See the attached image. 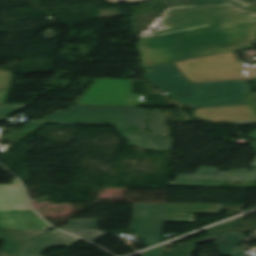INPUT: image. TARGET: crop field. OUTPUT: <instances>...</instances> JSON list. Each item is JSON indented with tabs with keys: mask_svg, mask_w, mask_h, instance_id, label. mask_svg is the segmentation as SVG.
<instances>
[{
	"mask_svg": "<svg viewBox=\"0 0 256 256\" xmlns=\"http://www.w3.org/2000/svg\"><path fill=\"white\" fill-rule=\"evenodd\" d=\"M256 22L212 24L148 38L138 43L143 67L213 56L226 50L253 46Z\"/></svg>",
	"mask_w": 256,
	"mask_h": 256,
	"instance_id": "1",
	"label": "crop field"
},
{
	"mask_svg": "<svg viewBox=\"0 0 256 256\" xmlns=\"http://www.w3.org/2000/svg\"><path fill=\"white\" fill-rule=\"evenodd\" d=\"M71 111H57L40 122H32L21 131L32 133L44 123L76 125L105 123L117 127L123 138L129 139V145L146 147L156 151L172 150V138L165 137L168 128L164 126L165 116L160 111H153L151 114L150 129L153 134L164 135V137L144 132L147 111L131 107H104V106H70ZM130 126L141 127L140 131L127 129ZM160 138V140H158ZM166 139V140H163ZM167 143V144H164Z\"/></svg>",
	"mask_w": 256,
	"mask_h": 256,
	"instance_id": "2",
	"label": "crop field"
},
{
	"mask_svg": "<svg viewBox=\"0 0 256 256\" xmlns=\"http://www.w3.org/2000/svg\"><path fill=\"white\" fill-rule=\"evenodd\" d=\"M147 77L156 88L168 93L175 101L193 108L200 106L247 103L242 94L250 93V79L193 84L174 64L147 68Z\"/></svg>",
	"mask_w": 256,
	"mask_h": 256,
	"instance_id": "3",
	"label": "crop field"
},
{
	"mask_svg": "<svg viewBox=\"0 0 256 256\" xmlns=\"http://www.w3.org/2000/svg\"><path fill=\"white\" fill-rule=\"evenodd\" d=\"M256 13L234 4L209 7H183L168 11L163 21L172 29L154 33L162 34L212 23L255 18Z\"/></svg>",
	"mask_w": 256,
	"mask_h": 256,
	"instance_id": "4",
	"label": "crop field"
},
{
	"mask_svg": "<svg viewBox=\"0 0 256 256\" xmlns=\"http://www.w3.org/2000/svg\"><path fill=\"white\" fill-rule=\"evenodd\" d=\"M12 182L14 185H0V228L51 229L27 207L18 180Z\"/></svg>",
	"mask_w": 256,
	"mask_h": 256,
	"instance_id": "5",
	"label": "crop field"
},
{
	"mask_svg": "<svg viewBox=\"0 0 256 256\" xmlns=\"http://www.w3.org/2000/svg\"><path fill=\"white\" fill-rule=\"evenodd\" d=\"M176 64L193 82L251 78L247 69L236 63L232 53Z\"/></svg>",
	"mask_w": 256,
	"mask_h": 256,
	"instance_id": "6",
	"label": "crop field"
},
{
	"mask_svg": "<svg viewBox=\"0 0 256 256\" xmlns=\"http://www.w3.org/2000/svg\"><path fill=\"white\" fill-rule=\"evenodd\" d=\"M131 85L132 80L98 79L77 104L142 106V95L131 94Z\"/></svg>",
	"mask_w": 256,
	"mask_h": 256,
	"instance_id": "7",
	"label": "crop field"
},
{
	"mask_svg": "<svg viewBox=\"0 0 256 256\" xmlns=\"http://www.w3.org/2000/svg\"><path fill=\"white\" fill-rule=\"evenodd\" d=\"M130 231L163 233L166 205L133 204Z\"/></svg>",
	"mask_w": 256,
	"mask_h": 256,
	"instance_id": "8",
	"label": "crop field"
},
{
	"mask_svg": "<svg viewBox=\"0 0 256 256\" xmlns=\"http://www.w3.org/2000/svg\"><path fill=\"white\" fill-rule=\"evenodd\" d=\"M241 206L167 203L165 222H194V214H219V209H241Z\"/></svg>",
	"mask_w": 256,
	"mask_h": 256,
	"instance_id": "9",
	"label": "crop field"
},
{
	"mask_svg": "<svg viewBox=\"0 0 256 256\" xmlns=\"http://www.w3.org/2000/svg\"><path fill=\"white\" fill-rule=\"evenodd\" d=\"M194 116L213 122L256 123V116L249 105L201 108L195 110Z\"/></svg>",
	"mask_w": 256,
	"mask_h": 256,
	"instance_id": "10",
	"label": "crop field"
},
{
	"mask_svg": "<svg viewBox=\"0 0 256 256\" xmlns=\"http://www.w3.org/2000/svg\"><path fill=\"white\" fill-rule=\"evenodd\" d=\"M233 171H248L243 169L219 172L217 168L200 167L195 175L178 174L176 182L169 186L218 187Z\"/></svg>",
	"mask_w": 256,
	"mask_h": 256,
	"instance_id": "11",
	"label": "crop field"
},
{
	"mask_svg": "<svg viewBox=\"0 0 256 256\" xmlns=\"http://www.w3.org/2000/svg\"><path fill=\"white\" fill-rule=\"evenodd\" d=\"M80 239L53 230L25 243L18 256H39L44 249L51 246H71ZM72 242V243H70Z\"/></svg>",
	"mask_w": 256,
	"mask_h": 256,
	"instance_id": "12",
	"label": "crop field"
},
{
	"mask_svg": "<svg viewBox=\"0 0 256 256\" xmlns=\"http://www.w3.org/2000/svg\"><path fill=\"white\" fill-rule=\"evenodd\" d=\"M47 232V230L0 229V240H5L1 253L17 255L24 241Z\"/></svg>",
	"mask_w": 256,
	"mask_h": 256,
	"instance_id": "13",
	"label": "crop field"
},
{
	"mask_svg": "<svg viewBox=\"0 0 256 256\" xmlns=\"http://www.w3.org/2000/svg\"><path fill=\"white\" fill-rule=\"evenodd\" d=\"M245 239L242 232H225L218 235L202 237L195 241V243L198 244L208 240H214V244L221 251L219 255L231 256Z\"/></svg>",
	"mask_w": 256,
	"mask_h": 256,
	"instance_id": "14",
	"label": "crop field"
},
{
	"mask_svg": "<svg viewBox=\"0 0 256 256\" xmlns=\"http://www.w3.org/2000/svg\"><path fill=\"white\" fill-rule=\"evenodd\" d=\"M229 229H242V230H249L254 231L255 229V221H228L216 227H213L208 230V233H213L222 230H229Z\"/></svg>",
	"mask_w": 256,
	"mask_h": 256,
	"instance_id": "15",
	"label": "crop field"
},
{
	"mask_svg": "<svg viewBox=\"0 0 256 256\" xmlns=\"http://www.w3.org/2000/svg\"><path fill=\"white\" fill-rule=\"evenodd\" d=\"M64 231H67L73 235H76L85 240L91 241L93 243L96 242L97 239L106 236L110 233H106L99 230H89V229H73V228H60Z\"/></svg>",
	"mask_w": 256,
	"mask_h": 256,
	"instance_id": "16",
	"label": "crop field"
},
{
	"mask_svg": "<svg viewBox=\"0 0 256 256\" xmlns=\"http://www.w3.org/2000/svg\"><path fill=\"white\" fill-rule=\"evenodd\" d=\"M191 242L176 244L173 248L163 246L162 256H190Z\"/></svg>",
	"mask_w": 256,
	"mask_h": 256,
	"instance_id": "17",
	"label": "crop field"
},
{
	"mask_svg": "<svg viewBox=\"0 0 256 256\" xmlns=\"http://www.w3.org/2000/svg\"><path fill=\"white\" fill-rule=\"evenodd\" d=\"M227 181H256V168L250 173H234Z\"/></svg>",
	"mask_w": 256,
	"mask_h": 256,
	"instance_id": "18",
	"label": "crop field"
},
{
	"mask_svg": "<svg viewBox=\"0 0 256 256\" xmlns=\"http://www.w3.org/2000/svg\"><path fill=\"white\" fill-rule=\"evenodd\" d=\"M99 219L73 220L67 226L97 228Z\"/></svg>",
	"mask_w": 256,
	"mask_h": 256,
	"instance_id": "19",
	"label": "crop field"
},
{
	"mask_svg": "<svg viewBox=\"0 0 256 256\" xmlns=\"http://www.w3.org/2000/svg\"><path fill=\"white\" fill-rule=\"evenodd\" d=\"M27 105H4L0 106V120L20 110Z\"/></svg>",
	"mask_w": 256,
	"mask_h": 256,
	"instance_id": "20",
	"label": "crop field"
},
{
	"mask_svg": "<svg viewBox=\"0 0 256 256\" xmlns=\"http://www.w3.org/2000/svg\"><path fill=\"white\" fill-rule=\"evenodd\" d=\"M146 246L161 242L163 235L139 233Z\"/></svg>",
	"mask_w": 256,
	"mask_h": 256,
	"instance_id": "21",
	"label": "crop field"
},
{
	"mask_svg": "<svg viewBox=\"0 0 256 256\" xmlns=\"http://www.w3.org/2000/svg\"><path fill=\"white\" fill-rule=\"evenodd\" d=\"M195 6H209V5H219V4H228L230 3L227 0H188Z\"/></svg>",
	"mask_w": 256,
	"mask_h": 256,
	"instance_id": "22",
	"label": "crop field"
},
{
	"mask_svg": "<svg viewBox=\"0 0 256 256\" xmlns=\"http://www.w3.org/2000/svg\"><path fill=\"white\" fill-rule=\"evenodd\" d=\"M11 80H12V73L5 72V71H3V73H0V88L1 87L9 88Z\"/></svg>",
	"mask_w": 256,
	"mask_h": 256,
	"instance_id": "23",
	"label": "crop field"
},
{
	"mask_svg": "<svg viewBox=\"0 0 256 256\" xmlns=\"http://www.w3.org/2000/svg\"><path fill=\"white\" fill-rule=\"evenodd\" d=\"M242 7H248L250 6L251 4H253L254 2H256V0H230Z\"/></svg>",
	"mask_w": 256,
	"mask_h": 256,
	"instance_id": "24",
	"label": "crop field"
},
{
	"mask_svg": "<svg viewBox=\"0 0 256 256\" xmlns=\"http://www.w3.org/2000/svg\"><path fill=\"white\" fill-rule=\"evenodd\" d=\"M162 246L144 253V256H161Z\"/></svg>",
	"mask_w": 256,
	"mask_h": 256,
	"instance_id": "25",
	"label": "crop field"
},
{
	"mask_svg": "<svg viewBox=\"0 0 256 256\" xmlns=\"http://www.w3.org/2000/svg\"><path fill=\"white\" fill-rule=\"evenodd\" d=\"M256 113V94L245 95Z\"/></svg>",
	"mask_w": 256,
	"mask_h": 256,
	"instance_id": "26",
	"label": "crop field"
},
{
	"mask_svg": "<svg viewBox=\"0 0 256 256\" xmlns=\"http://www.w3.org/2000/svg\"><path fill=\"white\" fill-rule=\"evenodd\" d=\"M108 1H110L113 4L119 3V2H123V1H127V2L135 5V4H139V3H142V2H145V1H149V0H108Z\"/></svg>",
	"mask_w": 256,
	"mask_h": 256,
	"instance_id": "27",
	"label": "crop field"
},
{
	"mask_svg": "<svg viewBox=\"0 0 256 256\" xmlns=\"http://www.w3.org/2000/svg\"><path fill=\"white\" fill-rule=\"evenodd\" d=\"M8 91L9 90L6 89H0V104H4L6 102Z\"/></svg>",
	"mask_w": 256,
	"mask_h": 256,
	"instance_id": "28",
	"label": "crop field"
},
{
	"mask_svg": "<svg viewBox=\"0 0 256 256\" xmlns=\"http://www.w3.org/2000/svg\"><path fill=\"white\" fill-rule=\"evenodd\" d=\"M251 147L255 149V151L253 153L256 154V141L251 144ZM255 165H256V157H255L251 167H254Z\"/></svg>",
	"mask_w": 256,
	"mask_h": 256,
	"instance_id": "29",
	"label": "crop field"
},
{
	"mask_svg": "<svg viewBox=\"0 0 256 256\" xmlns=\"http://www.w3.org/2000/svg\"><path fill=\"white\" fill-rule=\"evenodd\" d=\"M246 137L256 140V129L249 133Z\"/></svg>",
	"mask_w": 256,
	"mask_h": 256,
	"instance_id": "30",
	"label": "crop field"
},
{
	"mask_svg": "<svg viewBox=\"0 0 256 256\" xmlns=\"http://www.w3.org/2000/svg\"><path fill=\"white\" fill-rule=\"evenodd\" d=\"M247 69H248V71L250 72V74H251V76L253 77V79H255V78H256V76L252 73L253 71L251 72V70H250V68H249V67H248Z\"/></svg>",
	"mask_w": 256,
	"mask_h": 256,
	"instance_id": "31",
	"label": "crop field"
},
{
	"mask_svg": "<svg viewBox=\"0 0 256 256\" xmlns=\"http://www.w3.org/2000/svg\"><path fill=\"white\" fill-rule=\"evenodd\" d=\"M0 256H9V255H5V254H1V253H0Z\"/></svg>",
	"mask_w": 256,
	"mask_h": 256,
	"instance_id": "32",
	"label": "crop field"
},
{
	"mask_svg": "<svg viewBox=\"0 0 256 256\" xmlns=\"http://www.w3.org/2000/svg\"><path fill=\"white\" fill-rule=\"evenodd\" d=\"M254 83V85L256 86V80L252 81Z\"/></svg>",
	"mask_w": 256,
	"mask_h": 256,
	"instance_id": "33",
	"label": "crop field"
},
{
	"mask_svg": "<svg viewBox=\"0 0 256 256\" xmlns=\"http://www.w3.org/2000/svg\"><path fill=\"white\" fill-rule=\"evenodd\" d=\"M253 68H254V70H255V72H256V66H253Z\"/></svg>",
	"mask_w": 256,
	"mask_h": 256,
	"instance_id": "34",
	"label": "crop field"
}]
</instances>
